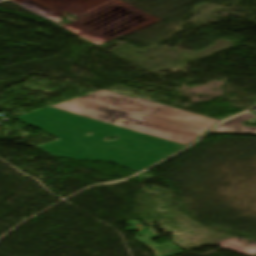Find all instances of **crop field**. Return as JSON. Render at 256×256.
<instances>
[{"label":"crop field","mask_w":256,"mask_h":256,"mask_svg":"<svg viewBox=\"0 0 256 256\" xmlns=\"http://www.w3.org/2000/svg\"><path fill=\"white\" fill-rule=\"evenodd\" d=\"M254 114L244 113L239 115L215 128L213 131L221 132H247V133H256V127H245L242 125V122L246 119L254 117Z\"/></svg>","instance_id":"412701ff"},{"label":"crop field","mask_w":256,"mask_h":256,"mask_svg":"<svg viewBox=\"0 0 256 256\" xmlns=\"http://www.w3.org/2000/svg\"><path fill=\"white\" fill-rule=\"evenodd\" d=\"M51 107L110 124L127 123V126L122 128L186 145L219 122L106 90H99Z\"/></svg>","instance_id":"ac0d7876"},{"label":"crop field","mask_w":256,"mask_h":256,"mask_svg":"<svg viewBox=\"0 0 256 256\" xmlns=\"http://www.w3.org/2000/svg\"><path fill=\"white\" fill-rule=\"evenodd\" d=\"M16 119L61 139L40 147L52 156L109 161L137 172L186 147L49 107ZM112 135L119 139L103 140Z\"/></svg>","instance_id":"8a807250"},{"label":"crop field","mask_w":256,"mask_h":256,"mask_svg":"<svg viewBox=\"0 0 256 256\" xmlns=\"http://www.w3.org/2000/svg\"><path fill=\"white\" fill-rule=\"evenodd\" d=\"M113 125H116V126H126V124H113Z\"/></svg>","instance_id":"f4fd0767"},{"label":"crop field","mask_w":256,"mask_h":256,"mask_svg":"<svg viewBox=\"0 0 256 256\" xmlns=\"http://www.w3.org/2000/svg\"><path fill=\"white\" fill-rule=\"evenodd\" d=\"M140 236H143V238H141ZM157 237L159 236L156 235V232H154L153 229L150 228V230H140L139 234L135 237V239L151 249L157 256H174L183 253V251L179 247L175 246L170 242L160 246L152 243L151 241Z\"/></svg>","instance_id":"34b2d1b8"}]
</instances>
